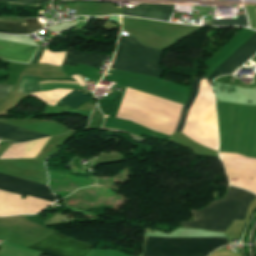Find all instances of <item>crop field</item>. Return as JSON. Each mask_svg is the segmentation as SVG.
<instances>
[{"label": "crop field", "instance_id": "obj_12", "mask_svg": "<svg viewBox=\"0 0 256 256\" xmlns=\"http://www.w3.org/2000/svg\"><path fill=\"white\" fill-rule=\"evenodd\" d=\"M90 99L91 98L87 95H84L78 91L70 90L57 105H68L69 107L75 109L83 102Z\"/></svg>", "mask_w": 256, "mask_h": 256}, {"label": "crop field", "instance_id": "obj_16", "mask_svg": "<svg viewBox=\"0 0 256 256\" xmlns=\"http://www.w3.org/2000/svg\"><path fill=\"white\" fill-rule=\"evenodd\" d=\"M14 86H0V97H8Z\"/></svg>", "mask_w": 256, "mask_h": 256}, {"label": "crop field", "instance_id": "obj_9", "mask_svg": "<svg viewBox=\"0 0 256 256\" xmlns=\"http://www.w3.org/2000/svg\"><path fill=\"white\" fill-rule=\"evenodd\" d=\"M37 47L0 41V57L28 62Z\"/></svg>", "mask_w": 256, "mask_h": 256}, {"label": "crop field", "instance_id": "obj_14", "mask_svg": "<svg viewBox=\"0 0 256 256\" xmlns=\"http://www.w3.org/2000/svg\"><path fill=\"white\" fill-rule=\"evenodd\" d=\"M211 25H213V26H218V25L248 26V23H247V19L245 16L238 15L237 20L213 19Z\"/></svg>", "mask_w": 256, "mask_h": 256}, {"label": "crop field", "instance_id": "obj_15", "mask_svg": "<svg viewBox=\"0 0 256 256\" xmlns=\"http://www.w3.org/2000/svg\"><path fill=\"white\" fill-rule=\"evenodd\" d=\"M0 1L10 2V3H17V4H25V5L41 6V4L45 0H0Z\"/></svg>", "mask_w": 256, "mask_h": 256}, {"label": "crop field", "instance_id": "obj_1", "mask_svg": "<svg viewBox=\"0 0 256 256\" xmlns=\"http://www.w3.org/2000/svg\"><path fill=\"white\" fill-rule=\"evenodd\" d=\"M256 196L230 186L225 200L215 201L200 210H191L194 221L181 223L186 228H203L224 232L234 220H243L249 204Z\"/></svg>", "mask_w": 256, "mask_h": 256}, {"label": "crop field", "instance_id": "obj_13", "mask_svg": "<svg viewBox=\"0 0 256 256\" xmlns=\"http://www.w3.org/2000/svg\"><path fill=\"white\" fill-rule=\"evenodd\" d=\"M20 86L22 92L44 91L43 79L37 77H22Z\"/></svg>", "mask_w": 256, "mask_h": 256}, {"label": "crop field", "instance_id": "obj_10", "mask_svg": "<svg viewBox=\"0 0 256 256\" xmlns=\"http://www.w3.org/2000/svg\"><path fill=\"white\" fill-rule=\"evenodd\" d=\"M52 135L36 132L33 130L0 123V137L15 142H26L38 138L48 137Z\"/></svg>", "mask_w": 256, "mask_h": 256}, {"label": "crop field", "instance_id": "obj_4", "mask_svg": "<svg viewBox=\"0 0 256 256\" xmlns=\"http://www.w3.org/2000/svg\"><path fill=\"white\" fill-rule=\"evenodd\" d=\"M256 53V33L249 38L239 49H237L226 61H224L214 72L207 78L211 82L214 78L221 75L233 74L234 70L241 64L245 63ZM242 64L237 68L239 69ZM236 69V70H237ZM205 76L194 80L193 93L189 98L188 103L183 107L181 118L176 131L182 132L188 115L191 111L197 93L199 91V80L207 79Z\"/></svg>", "mask_w": 256, "mask_h": 256}, {"label": "crop field", "instance_id": "obj_2", "mask_svg": "<svg viewBox=\"0 0 256 256\" xmlns=\"http://www.w3.org/2000/svg\"><path fill=\"white\" fill-rule=\"evenodd\" d=\"M163 50L147 48L133 37H119L112 69L160 78Z\"/></svg>", "mask_w": 256, "mask_h": 256}, {"label": "crop field", "instance_id": "obj_11", "mask_svg": "<svg viewBox=\"0 0 256 256\" xmlns=\"http://www.w3.org/2000/svg\"><path fill=\"white\" fill-rule=\"evenodd\" d=\"M44 27V24H39V19H26V24L0 22V33L32 34Z\"/></svg>", "mask_w": 256, "mask_h": 256}, {"label": "crop field", "instance_id": "obj_7", "mask_svg": "<svg viewBox=\"0 0 256 256\" xmlns=\"http://www.w3.org/2000/svg\"><path fill=\"white\" fill-rule=\"evenodd\" d=\"M46 49L40 47L32 62L40 63ZM106 58L104 54L83 53L76 49H67L65 65L69 64H86L98 68L102 61Z\"/></svg>", "mask_w": 256, "mask_h": 256}, {"label": "crop field", "instance_id": "obj_5", "mask_svg": "<svg viewBox=\"0 0 256 256\" xmlns=\"http://www.w3.org/2000/svg\"><path fill=\"white\" fill-rule=\"evenodd\" d=\"M94 247L56 233L28 248L53 256H87Z\"/></svg>", "mask_w": 256, "mask_h": 256}, {"label": "crop field", "instance_id": "obj_3", "mask_svg": "<svg viewBox=\"0 0 256 256\" xmlns=\"http://www.w3.org/2000/svg\"><path fill=\"white\" fill-rule=\"evenodd\" d=\"M229 244L227 237L164 238L145 235L141 256H205L210 251Z\"/></svg>", "mask_w": 256, "mask_h": 256}, {"label": "crop field", "instance_id": "obj_8", "mask_svg": "<svg viewBox=\"0 0 256 256\" xmlns=\"http://www.w3.org/2000/svg\"><path fill=\"white\" fill-rule=\"evenodd\" d=\"M135 7L172 12L175 5L139 4ZM122 15L169 21L172 13L144 10V9H136V8H124Z\"/></svg>", "mask_w": 256, "mask_h": 256}, {"label": "crop field", "instance_id": "obj_17", "mask_svg": "<svg viewBox=\"0 0 256 256\" xmlns=\"http://www.w3.org/2000/svg\"><path fill=\"white\" fill-rule=\"evenodd\" d=\"M77 76L85 83V81L79 75H77Z\"/></svg>", "mask_w": 256, "mask_h": 256}, {"label": "crop field", "instance_id": "obj_6", "mask_svg": "<svg viewBox=\"0 0 256 256\" xmlns=\"http://www.w3.org/2000/svg\"><path fill=\"white\" fill-rule=\"evenodd\" d=\"M47 185L0 174V190L53 202L55 196L46 192Z\"/></svg>", "mask_w": 256, "mask_h": 256}]
</instances>
